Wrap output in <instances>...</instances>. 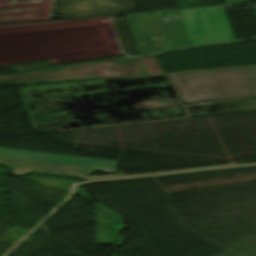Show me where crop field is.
Here are the masks:
<instances>
[{"instance_id": "crop-field-1", "label": "crop field", "mask_w": 256, "mask_h": 256, "mask_svg": "<svg viewBox=\"0 0 256 256\" xmlns=\"http://www.w3.org/2000/svg\"><path fill=\"white\" fill-rule=\"evenodd\" d=\"M184 102L256 96V66L171 73Z\"/></svg>"}, {"instance_id": "crop-field-2", "label": "crop field", "mask_w": 256, "mask_h": 256, "mask_svg": "<svg viewBox=\"0 0 256 256\" xmlns=\"http://www.w3.org/2000/svg\"><path fill=\"white\" fill-rule=\"evenodd\" d=\"M174 12L127 16L141 54L190 46Z\"/></svg>"}, {"instance_id": "crop-field-3", "label": "crop field", "mask_w": 256, "mask_h": 256, "mask_svg": "<svg viewBox=\"0 0 256 256\" xmlns=\"http://www.w3.org/2000/svg\"><path fill=\"white\" fill-rule=\"evenodd\" d=\"M191 46L235 40L221 7L178 11Z\"/></svg>"}, {"instance_id": "crop-field-4", "label": "crop field", "mask_w": 256, "mask_h": 256, "mask_svg": "<svg viewBox=\"0 0 256 256\" xmlns=\"http://www.w3.org/2000/svg\"><path fill=\"white\" fill-rule=\"evenodd\" d=\"M0 157L108 171H116L115 167L118 163L113 161L97 160L90 158L52 155L32 151L11 150L2 148H0Z\"/></svg>"}, {"instance_id": "crop-field-5", "label": "crop field", "mask_w": 256, "mask_h": 256, "mask_svg": "<svg viewBox=\"0 0 256 256\" xmlns=\"http://www.w3.org/2000/svg\"><path fill=\"white\" fill-rule=\"evenodd\" d=\"M0 163H8L14 166L13 173L22 174L29 170H37L40 172H48V173H57V174H65V175H74L83 177L84 175L94 171L92 169H83V168H75V167H67V166H59V165H50V164H42V163H34V162H26V161H18V160H9V159H1ZM100 171V170H97ZM108 172V171H102ZM115 173V172H109ZM124 174L117 175H107V176H86L84 179H92V178H102V177H112V176H122Z\"/></svg>"}, {"instance_id": "crop-field-6", "label": "crop field", "mask_w": 256, "mask_h": 256, "mask_svg": "<svg viewBox=\"0 0 256 256\" xmlns=\"http://www.w3.org/2000/svg\"><path fill=\"white\" fill-rule=\"evenodd\" d=\"M250 166H256V165L240 166V167H231V168H222V169H212V170H203V171H194V172H184V173H174V174H164V175H154V176H145V177H135V178H125V179H115V180H105V181L90 182V183H88V184H92V183H101V182H109V181H118V180H127V179H141V178H150V177H159V176H168V175H177V174L204 172V171H214V170H223V169L250 167Z\"/></svg>"}, {"instance_id": "crop-field-7", "label": "crop field", "mask_w": 256, "mask_h": 256, "mask_svg": "<svg viewBox=\"0 0 256 256\" xmlns=\"http://www.w3.org/2000/svg\"><path fill=\"white\" fill-rule=\"evenodd\" d=\"M253 8H254V10L256 11V6H254Z\"/></svg>"}]
</instances>
